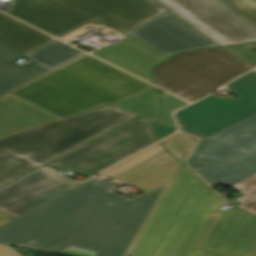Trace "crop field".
<instances>
[{"instance_id": "obj_8", "label": "crop field", "mask_w": 256, "mask_h": 256, "mask_svg": "<svg viewBox=\"0 0 256 256\" xmlns=\"http://www.w3.org/2000/svg\"><path fill=\"white\" fill-rule=\"evenodd\" d=\"M154 122L136 117L48 165L92 176L122 158L156 142Z\"/></svg>"}, {"instance_id": "obj_16", "label": "crop field", "mask_w": 256, "mask_h": 256, "mask_svg": "<svg viewBox=\"0 0 256 256\" xmlns=\"http://www.w3.org/2000/svg\"><path fill=\"white\" fill-rule=\"evenodd\" d=\"M171 159L173 157L158 143L102 173L121 182H130Z\"/></svg>"}, {"instance_id": "obj_6", "label": "crop field", "mask_w": 256, "mask_h": 256, "mask_svg": "<svg viewBox=\"0 0 256 256\" xmlns=\"http://www.w3.org/2000/svg\"><path fill=\"white\" fill-rule=\"evenodd\" d=\"M2 11L57 38L98 20L125 33L167 10L152 0H9Z\"/></svg>"}, {"instance_id": "obj_19", "label": "crop field", "mask_w": 256, "mask_h": 256, "mask_svg": "<svg viewBox=\"0 0 256 256\" xmlns=\"http://www.w3.org/2000/svg\"><path fill=\"white\" fill-rule=\"evenodd\" d=\"M114 107L137 114L154 122L156 121L159 110L154 88L138 97L119 103Z\"/></svg>"}, {"instance_id": "obj_25", "label": "crop field", "mask_w": 256, "mask_h": 256, "mask_svg": "<svg viewBox=\"0 0 256 256\" xmlns=\"http://www.w3.org/2000/svg\"><path fill=\"white\" fill-rule=\"evenodd\" d=\"M83 31H85V30L82 29V28H80V29H78V30H76V31H74V32H72V33H70V34H68V35H66V36H64V37H62V38H60V39L63 40V41H65V40H67V39H69V38H71V37H73V36H75V35H77V34L83 32Z\"/></svg>"}, {"instance_id": "obj_10", "label": "crop field", "mask_w": 256, "mask_h": 256, "mask_svg": "<svg viewBox=\"0 0 256 256\" xmlns=\"http://www.w3.org/2000/svg\"><path fill=\"white\" fill-rule=\"evenodd\" d=\"M125 34L168 56L218 45L170 12Z\"/></svg>"}, {"instance_id": "obj_3", "label": "crop field", "mask_w": 256, "mask_h": 256, "mask_svg": "<svg viewBox=\"0 0 256 256\" xmlns=\"http://www.w3.org/2000/svg\"><path fill=\"white\" fill-rule=\"evenodd\" d=\"M152 86L84 55L10 92L61 119L140 95Z\"/></svg>"}, {"instance_id": "obj_2", "label": "crop field", "mask_w": 256, "mask_h": 256, "mask_svg": "<svg viewBox=\"0 0 256 256\" xmlns=\"http://www.w3.org/2000/svg\"><path fill=\"white\" fill-rule=\"evenodd\" d=\"M234 100L211 95L175 113L180 130L201 138L187 164L211 186L224 183L256 215V71L228 84Z\"/></svg>"}, {"instance_id": "obj_12", "label": "crop field", "mask_w": 256, "mask_h": 256, "mask_svg": "<svg viewBox=\"0 0 256 256\" xmlns=\"http://www.w3.org/2000/svg\"><path fill=\"white\" fill-rule=\"evenodd\" d=\"M77 185L42 169L0 191V212L15 218Z\"/></svg>"}, {"instance_id": "obj_9", "label": "crop field", "mask_w": 256, "mask_h": 256, "mask_svg": "<svg viewBox=\"0 0 256 256\" xmlns=\"http://www.w3.org/2000/svg\"><path fill=\"white\" fill-rule=\"evenodd\" d=\"M220 45L256 40V27L220 0H153Z\"/></svg>"}, {"instance_id": "obj_18", "label": "crop field", "mask_w": 256, "mask_h": 256, "mask_svg": "<svg viewBox=\"0 0 256 256\" xmlns=\"http://www.w3.org/2000/svg\"><path fill=\"white\" fill-rule=\"evenodd\" d=\"M80 54L82 52L56 40L26 56L49 68H54Z\"/></svg>"}, {"instance_id": "obj_24", "label": "crop field", "mask_w": 256, "mask_h": 256, "mask_svg": "<svg viewBox=\"0 0 256 256\" xmlns=\"http://www.w3.org/2000/svg\"><path fill=\"white\" fill-rule=\"evenodd\" d=\"M0 256H22L13 248L0 244Z\"/></svg>"}, {"instance_id": "obj_22", "label": "crop field", "mask_w": 256, "mask_h": 256, "mask_svg": "<svg viewBox=\"0 0 256 256\" xmlns=\"http://www.w3.org/2000/svg\"><path fill=\"white\" fill-rule=\"evenodd\" d=\"M256 26V0H222Z\"/></svg>"}, {"instance_id": "obj_7", "label": "crop field", "mask_w": 256, "mask_h": 256, "mask_svg": "<svg viewBox=\"0 0 256 256\" xmlns=\"http://www.w3.org/2000/svg\"><path fill=\"white\" fill-rule=\"evenodd\" d=\"M249 69L225 49L214 48L174 56L152 73L158 86L194 101Z\"/></svg>"}, {"instance_id": "obj_26", "label": "crop field", "mask_w": 256, "mask_h": 256, "mask_svg": "<svg viewBox=\"0 0 256 256\" xmlns=\"http://www.w3.org/2000/svg\"><path fill=\"white\" fill-rule=\"evenodd\" d=\"M13 218L7 216V215H4L2 213H0V225L12 220Z\"/></svg>"}, {"instance_id": "obj_23", "label": "crop field", "mask_w": 256, "mask_h": 256, "mask_svg": "<svg viewBox=\"0 0 256 256\" xmlns=\"http://www.w3.org/2000/svg\"><path fill=\"white\" fill-rule=\"evenodd\" d=\"M174 132H176L175 129L169 128V127L161 125V124H158L155 127V134L159 138V140L174 133Z\"/></svg>"}, {"instance_id": "obj_4", "label": "crop field", "mask_w": 256, "mask_h": 256, "mask_svg": "<svg viewBox=\"0 0 256 256\" xmlns=\"http://www.w3.org/2000/svg\"><path fill=\"white\" fill-rule=\"evenodd\" d=\"M183 165L130 256H225L197 248L223 201Z\"/></svg>"}, {"instance_id": "obj_1", "label": "crop field", "mask_w": 256, "mask_h": 256, "mask_svg": "<svg viewBox=\"0 0 256 256\" xmlns=\"http://www.w3.org/2000/svg\"><path fill=\"white\" fill-rule=\"evenodd\" d=\"M182 165L173 159L130 182L145 193L133 201L94 177L0 226V243L69 256H129Z\"/></svg>"}, {"instance_id": "obj_15", "label": "crop field", "mask_w": 256, "mask_h": 256, "mask_svg": "<svg viewBox=\"0 0 256 256\" xmlns=\"http://www.w3.org/2000/svg\"><path fill=\"white\" fill-rule=\"evenodd\" d=\"M56 39L0 13V43L28 54Z\"/></svg>"}, {"instance_id": "obj_14", "label": "crop field", "mask_w": 256, "mask_h": 256, "mask_svg": "<svg viewBox=\"0 0 256 256\" xmlns=\"http://www.w3.org/2000/svg\"><path fill=\"white\" fill-rule=\"evenodd\" d=\"M32 105L10 94L0 98V139L61 120Z\"/></svg>"}, {"instance_id": "obj_20", "label": "crop field", "mask_w": 256, "mask_h": 256, "mask_svg": "<svg viewBox=\"0 0 256 256\" xmlns=\"http://www.w3.org/2000/svg\"><path fill=\"white\" fill-rule=\"evenodd\" d=\"M196 138L178 133L172 137H169L162 142L165 148L169 150L176 158L185 160L191 149L196 143Z\"/></svg>"}, {"instance_id": "obj_13", "label": "crop field", "mask_w": 256, "mask_h": 256, "mask_svg": "<svg viewBox=\"0 0 256 256\" xmlns=\"http://www.w3.org/2000/svg\"><path fill=\"white\" fill-rule=\"evenodd\" d=\"M92 55L128 71L150 83V69L168 56L128 37ZM153 84V83H152Z\"/></svg>"}, {"instance_id": "obj_11", "label": "crop field", "mask_w": 256, "mask_h": 256, "mask_svg": "<svg viewBox=\"0 0 256 256\" xmlns=\"http://www.w3.org/2000/svg\"><path fill=\"white\" fill-rule=\"evenodd\" d=\"M200 247L233 256H256V216L241 209L219 211Z\"/></svg>"}, {"instance_id": "obj_17", "label": "crop field", "mask_w": 256, "mask_h": 256, "mask_svg": "<svg viewBox=\"0 0 256 256\" xmlns=\"http://www.w3.org/2000/svg\"><path fill=\"white\" fill-rule=\"evenodd\" d=\"M22 56L0 44V97L50 71L36 63L24 69L11 63Z\"/></svg>"}, {"instance_id": "obj_5", "label": "crop field", "mask_w": 256, "mask_h": 256, "mask_svg": "<svg viewBox=\"0 0 256 256\" xmlns=\"http://www.w3.org/2000/svg\"><path fill=\"white\" fill-rule=\"evenodd\" d=\"M137 115L109 105L0 140V188Z\"/></svg>"}, {"instance_id": "obj_21", "label": "crop field", "mask_w": 256, "mask_h": 256, "mask_svg": "<svg viewBox=\"0 0 256 256\" xmlns=\"http://www.w3.org/2000/svg\"><path fill=\"white\" fill-rule=\"evenodd\" d=\"M160 99L162 103V114L160 116L159 123L176 129L175 123L171 117V112L186 105L187 103L167 93L162 94Z\"/></svg>"}]
</instances>
